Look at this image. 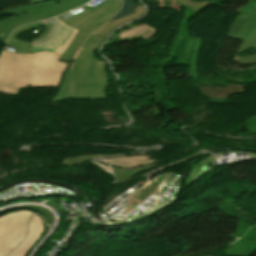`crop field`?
<instances>
[{
  "label": "crop field",
  "mask_w": 256,
  "mask_h": 256,
  "mask_svg": "<svg viewBox=\"0 0 256 256\" xmlns=\"http://www.w3.org/2000/svg\"><path fill=\"white\" fill-rule=\"evenodd\" d=\"M144 11H145V8L143 6H138L135 9L136 13H133L130 16H127L125 18L114 20L110 23H107V24L103 25L102 27H100L96 32H94V34L105 38L111 32V30L113 28H115L116 26H118L124 22H127L133 18L139 17L140 15H142L144 13Z\"/></svg>",
  "instance_id": "10"
},
{
  "label": "crop field",
  "mask_w": 256,
  "mask_h": 256,
  "mask_svg": "<svg viewBox=\"0 0 256 256\" xmlns=\"http://www.w3.org/2000/svg\"><path fill=\"white\" fill-rule=\"evenodd\" d=\"M112 155H119V154H109V155H101V154H90V155H82V156H75V157H68L63 160L62 164H69V165H75L82 163L88 159L91 158H98V157H106V156H112Z\"/></svg>",
  "instance_id": "14"
},
{
  "label": "crop field",
  "mask_w": 256,
  "mask_h": 256,
  "mask_svg": "<svg viewBox=\"0 0 256 256\" xmlns=\"http://www.w3.org/2000/svg\"><path fill=\"white\" fill-rule=\"evenodd\" d=\"M177 2H179L183 8H189L192 11V16H196L197 13L205 8L207 5L209 4H215L212 3L210 0H206V1H200V2H194L192 0H176Z\"/></svg>",
  "instance_id": "11"
},
{
  "label": "crop field",
  "mask_w": 256,
  "mask_h": 256,
  "mask_svg": "<svg viewBox=\"0 0 256 256\" xmlns=\"http://www.w3.org/2000/svg\"><path fill=\"white\" fill-rule=\"evenodd\" d=\"M102 40L103 38L94 34L87 39L74 62L72 61L51 103L70 98H106L104 94L108 86L104 70L106 62L97 61L94 56V50Z\"/></svg>",
  "instance_id": "2"
},
{
  "label": "crop field",
  "mask_w": 256,
  "mask_h": 256,
  "mask_svg": "<svg viewBox=\"0 0 256 256\" xmlns=\"http://www.w3.org/2000/svg\"><path fill=\"white\" fill-rule=\"evenodd\" d=\"M121 3L122 0H105L94 8L84 5L59 16L66 25L79 30L60 60L70 62L86 38L119 11Z\"/></svg>",
  "instance_id": "3"
},
{
  "label": "crop field",
  "mask_w": 256,
  "mask_h": 256,
  "mask_svg": "<svg viewBox=\"0 0 256 256\" xmlns=\"http://www.w3.org/2000/svg\"><path fill=\"white\" fill-rule=\"evenodd\" d=\"M76 33H77V30L66 26L61 21V26L56 36L52 40H50L48 43L32 48L33 53L38 51L49 50L61 56L65 51V49L70 44V42L72 41V39L74 38V36L76 35Z\"/></svg>",
  "instance_id": "6"
},
{
  "label": "crop field",
  "mask_w": 256,
  "mask_h": 256,
  "mask_svg": "<svg viewBox=\"0 0 256 256\" xmlns=\"http://www.w3.org/2000/svg\"><path fill=\"white\" fill-rule=\"evenodd\" d=\"M155 165L156 164H153V165H150V166L136 168V169H133V170H123V169L113 168L114 174H115V179L118 180V181H123L127 178L132 177L136 173H138V172H140L144 169L154 167Z\"/></svg>",
  "instance_id": "13"
},
{
  "label": "crop field",
  "mask_w": 256,
  "mask_h": 256,
  "mask_svg": "<svg viewBox=\"0 0 256 256\" xmlns=\"http://www.w3.org/2000/svg\"><path fill=\"white\" fill-rule=\"evenodd\" d=\"M8 46L17 49V53H32L31 43L28 41L18 40L9 37Z\"/></svg>",
  "instance_id": "12"
},
{
  "label": "crop field",
  "mask_w": 256,
  "mask_h": 256,
  "mask_svg": "<svg viewBox=\"0 0 256 256\" xmlns=\"http://www.w3.org/2000/svg\"><path fill=\"white\" fill-rule=\"evenodd\" d=\"M88 1L54 0L36 5L17 6L2 10L0 15L13 14L14 16L0 20V34L13 31L24 24L60 15Z\"/></svg>",
  "instance_id": "4"
},
{
  "label": "crop field",
  "mask_w": 256,
  "mask_h": 256,
  "mask_svg": "<svg viewBox=\"0 0 256 256\" xmlns=\"http://www.w3.org/2000/svg\"><path fill=\"white\" fill-rule=\"evenodd\" d=\"M32 212H13L0 217V256H6L25 237Z\"/></svg>",
  "instance_id": "5"
},
{
  "label": "crop field",
  "mask_w": 256,
  "mask_h": 256,
  "mask_svg": "<svg viewBox=\"0 0 256 256\" xmlns=\"http://www.w3.org/2000/svg\"><path fill=\"white\" fill-rule=\"evenodd\" d=\"M46 21H47V20H45V21H40V22H37V23L28 24V25H26V26H22V27L18 28L17 30H15L14 32H12L10 36L16 38V36H17L20 32H22L23 30L30 29V28H34V27H38V26H43V25H45Z\"/></svg>",
  "instance_id": "17"
},
{
  "label": "crop field",
  "mask_w": 256,
  "mask_h": 256,
  "mask_svg": "<svg viewBox=\"0 0 256 256\" xmlns=\"http://www.w3.org/2000/svg\"><path fill=\"white\" fill-rule=\"evenodd\" d=\"M256 33V26L253 28V30L246 36V38H245V40L242 42V44H241V46H240V48H239V50L237 51V53L239 52V51H241V49L248 43V41L252 38V36L254 35ZM252 46H254V47H256V41L253 43V45ZM251 46V47H252ZM237 53H236V56H237Z\"/></svg>",
  "instance_id": "19"
},
{
  "label": "crop field",
  "mask_w": 256,
  "mask_h": 256,
  "mask_svg": "<svg viewBox=\"0 0 256 256\" xmlns=\"http://www.w3.org/2000/svg\"><path fill=\"white\" fill-rule=\"evenodd\" d=\"M48 51L15 54L2 51L0 58V92L18 94L30 87H58L67 62Z\"/></svg>",
  "instance_id": "1"
},
{
  "label": "crop field",
  "mask_w": 256,
  "mask_h": 256,
  "mask_svg": "<svg viewBox=\"0 0 256 256\" xmlns=\"http://www.w3.org/2000/svg\"><path fill=\"white\" fill-rule=\"evenodd\" d=\"M136 7H137V5L134 0H124L121 11L116 16H114L111 20L125 17V16L131 14Z\"/></svg>",
  "instance_id": "15"
},
{
  "label": "crop field",
  "mask_w": 256,
  "mask_h": 256,
  "mask_svg": "<svg viewBox=\"0 0 256 256\" xmlns=\"http://www.w3.org/2000/svg\"><path fill=\"white\" fill-rule=\"evenodd\" d=\"M45 1H49V0H30L31 4H36V3L45 2Z\"/></svg>",
  "instance_id": "22"
},
{
  "label": "crop field",
  "mask_w": 256,
  "mask_h": 256,
  "mask_svg": "<svg viewBox=\"0 0 256 256\" xmlns=\"http://www.w3.org/2000/svg\"><path fill=\"white\" fill-rule=\"evenodd\" d=\"M42 231L43 222L41 218L37 215H33L29 224V232L27 238L19 246H17L9 256H24L25 253L40 237Z\"/></svg>",
  "instance_id": "7"
},
{
  "label": "crop field",
  "mask_w": 256,
  "mask_h": 256,
  "mask_svg": "<svg viewBox=\"0 0 256 256\" xmlns=\"http://www.w3.org/2000/svg\"><path fill=\"white\" fill-rule=\"evenodd\" d=\"M59 26H60V20H59L57 17H55V20H54V27H53V29L51 30V32L48 34V36H47L46 38H44V39L39 40V41H33V42H31V43H32V47H33V46H37V45H41V44H43V43L49 41L50 39H52V38L54 37V35L56 34V32H57Z\"/></svg>",
  "instance_id": "16"
},
{
  "label": "crop field",
  "mask_w": 256,
  "mask_h": 256,
  "mask_svg": "<svg viewBox=\"0 0 256 256\" xmlns=\"http://www.w3.org/2000/svg\"><path fill=\"white\" fill-rule=\"evenodd\" d=\"M247 86L243 85H227L222 87H205L200 85V92L206 97L213 98H229V95L240 94L246 90Z\"/></svg>",
  "instance_id": "9"
},
{
  "label": "crop field",
  "mask_w": 256,
  "mask_h": 256,
  "mask_svg": "<svg viewBox=\"0 0 256 256\" xmlns=\"http://www.w3.org/2000/svg\"><path fill=\"white\" fill-rule=\"evenodd\" d=\"M256 40V34L253 36V38L249 41V43L242 49L240 53H242L244 50L248 49L249 46L252 45V43Z\"/></svg>",
  "instance_id": "21"
},
{
  "label": "crop field",
  "mask_w": 256,
  "mask_h": 256,
  "mask_svg": "<svg viewBox=\"0 0 256 256\" xmlns=\"http://www.w3.org/2000/svg\"><path fill=\"white\" fill-rule=\"evenodd\" d=\"M256 25V10L253 15L240 13L234 20L226 37L244 40L245 36Z\"/></svg>",
  "instance_id": "8"
},
{
  "label": "crop field",
  "mask_w": 256,
  "mask_h": 256,
  "mask_svg": "<svg viewBox=\"0 0 256 256\" xmlns=\"http://www.w3.org/2000/svg\"><path fill=\"white\" fill-rule=\"evenodd\" d=\"M52 26H53V23H52V22H49L48 25H47V29H46V31H45L44 33H42L40 36H38V37H36V38H32V39H30V40H31V41H33V40H39V39H41V38L47 36V34H48L49 31L51 30Z\"/></svg>",
  "instance_id": "20"
},
{
  "label": "crop field",
  "mask_w": 256,
  "mask_h": 256,
  "mask_svg": "<svg viewBox=\"0 0 256 256\" xmlns=\"http://www.w3.org/2000/svg\"><path fill=\"white\" fill-rule=\"evenodd\" d=\"M232 61L238 63L252 64L256 63V55H250L247 57H235L234 59H232Z\"/></svg>",
  "instance_id": "18"
}]
</instances>
